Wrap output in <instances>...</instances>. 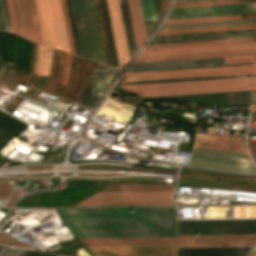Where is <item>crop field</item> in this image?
<instances>
[{"instance_id":"obj_24","label":"crop field","mask_w":256,"mask_h":256,"mask_svg":"<svg viewBox=\"0 0 256 256\" xmlns=\"http://www.w3.org/2000/svg\"><path fill=\"white\" fill-rule=\"evenodd\" d=\"M254 28V24L160 30L158 35Z\"/></svg>"},{"instance_id":"obj_56","label":"crop field","mask_w":256,"mask_h":256,"mask_svg":"<svg viewBox=\"0 0 256 256\" xmlns=\"http://www.w3.org/2000/svg\"><path fill=\"white\" fill-rule=\"evenodd\" d=\"M254 55H256V50H255V53H254Z\"/></svg>"},{"instance_id":"obj_37","label":"crop field","mask_w":256,"mask_h":256,"mask_svg":"<svg viewBox=\"0 0 256 256\" xmlns=\"http://www.w3.org/2000/svg\"><path fill=\"white\" fill-rule=\"evenodd\" d=\"M244 76H251V74L230 75V76H215V77H201V78H187V79H172V80H158V81H143V82H129V83H121V85L156 83V82H171V81H186V80H200V79H215V78H230V77H244Z\"/></svg>"},{"instance_id":"obj_47","label":"crop field","mask_w":256,"mask_h":256,"mask_svg":"<svg viewBox=\"0 0 256 256\" xmlns=\"http://www.w3.org/2000/svg\"><path fill=\"white\" fill-rule=\"evenodd\" d=\"M253 89H256V77H253Z\"/></svg>"},{"instance_id":"obj_59","label":"crop field","mask_w":256,"mask_h":256,"mask_svg":"<svg viewBox=\"0 0 256 256\" xmlns=\"http://www.w3.org/2000/svg\"><path fill=\"white\" fill-rule=\"evenodd\" d=\"M255 42H256V37H255Z\"/></svg>"},{"instance_id":"obj_26","label":"crop field","mask_w":256,"mask_h":256,"mask_svg":"<svg viewBox=\"0 0 256 256\" xmlns=\"http://www.w3.org/2000/svg\"><path fill=\"white\" fill-rule=\"evenodd\" d=\"M26 6L28 11L32 39L34 42L43 44L34 0H26Z\"/></svg>"},{"instance_id":"obj_50","label":"crop field","mask_w":256,"mask_h":256,"mask_svg":"<svg viewBox=\"0 0 256 256\" xmlns=\"http://www.w3.org/2000/svg\"><path fill=\"white\" fill-rule=\"evenodd\" d=\"M252 111H256V106H252Z\"/></svg>"},{"instance_id":"obj_45","label":"crop field","mask_w":256,"mask_h":256,"mask_svg":"<svg viewBox=\"0 0 256 256\" xmlns=\"http://www.w3.org/2000/svg\"><path fill=\"white\" fill-rule=\"evenodd\" d=\"M3 3H4V8H5V14H6V19H7V24H8V30H9V32H11L5 0H3Z\"/></svg>"},{"instance_id":"obj_28","label":"crop field","mask_w":256,"mask_h":256,"mask_svg":"<svg viewBox=\"0 0 256 256\" xmlns=\"http://www.w3.org/2000/svg\"><path fill=\"white\" fill-rule=\"evenodd\" d=\"M253 42V38L146 46L145 49Z\"/></svg>"},{"instance_id":"obj_41","label":"crop field","mask_w":256,"mask_h":256,"mask_svg":"<svg viewBox=\"0 0 256 256\" xmlns=\"http://www.w3.org/2000/svg\"><path fill=\"white\" fill-rule=\"evenodd\" d=\"M153 2H154L156 17H157V23L159 24V22H160V20L163 16L161 1L160 0H153Z\"/></svg>"},{"instance_id":"obj_14","label":"crop field","mask_w":256,"mask_h":256,"mask_svg":"<svg viewBox=\"0 0 256 256\" xmlns=\"http://www.w3.org/2000/svg\"><path fill=\"white\" fill-rule=\"evenodd\" d=\"M118 64L129 59L118 0H107Z\"/></svg>"},{"instance_id":"obj_8","label":"crop field","mask_w":256,"mask_h":256,"mask_svg":"<svg viewBox=\"0 0 256 256\" xmlns=\"http://www.w3.org/2000/svg\"><path fill=\"white\" fill-rule=\"evenodd\" d=\"M255 3L170 9L166 19L254 13Z\"/></svg>"},{"instance_id":"obj_58","label":"crop field","mask_w":256,"mask_h":256,"mask_svg":"<svg viewBox=\"0 0 256 256\" xmlns=\"http://www.w3.org/2000/svg\"><path fill=\"white\" fill-rule=\"evenodd\" d=\"M255 49H256V43H255Z\"/></svg>"},{"instance_id":"obj_5","label":"crop field","mask_w":256,"mask_h":256,"mask_svg":"<svg viewBox=\"0 0 256 256\" xmlns=\"http://www.w3.org/2000/svg\"><path fill=\"white\" fill-rule=\"evenodd\" d=\"M245 64H252V63H245ZM245 64L134 70V71H126L125 73L174 70V69H188V68H203V67H217V66H231V65H245ZM251 69H252V65H245V66H231V67H217V68H203V69H189V70L132 73V74H125L126 79H124L123 82L172 79V78H186V77H201V76H215V75H230V74H244V73H251Z\"/></svg>"},{"instance_id":"obj_48","label":"crop field","mask_w":256,"mask_h":256,"mask_svg":"<svg viewBox=\"0 0 256 256\" xmlns=\"http://www.w3.org/2000/svg\"><path fill=\"white\" fill-rule=\"evenodd\" d=\"M181 1H197V0H174V2H181Z\"/></svg>"},{"instance_id":"obj_31","label":"crop field","mask_w":256,"mask_h":256,"mask_svg":"<svg viewBox=\"0 0 256 256\" xmlns=\"http://www.w3.org/2000/svg\"><path fill=\"white\" fill-rule=\"evenodd\" d=\"M6 3L12 32L23 37L16 0H6Z\"/></svg>"},{"instance_id":"obj_46","label":"crop field","mask_w":256,"mask_h":256,"mask_svg":"<svg viewBox=\"0 0 256 256\" xmlns=\"http://www.w3.org/2000/svg\"><path fill=\"white\" fill-rule=\"evenodd\" d=\"M252 103H256V90H253L252 93Z\"/></svg>"},{"instance_id":"obj_3","label":"crop field","mask_w":256,"mask_h":256,"mask_svg":"<svg viewBox=\"0 0 256 256\" xmlns=\"http://www.w3.org/2000/svg\"><path fill=\"white\" fill-rule=\"evenodd\" d=\"M167 186L116 185L105 188L78 205L173 204Z\"/></svg>"},{"instance_id":"obj_10","label":"crop field","mask_w":256,"mask_h":256,"mask_svg":"<svg viewBox=\"0 0 256 256\" xmlns=\"http://www.w3.org/2000/svg\"><path fill=\"white\" fill-rule=\"evenodd\" d=\"M95 256H176V246L88 247Z\"/></svg>"},{"instance_id":"obj_9","label":"crop field","mask_w":256,"mask_h":256,"mask_svg":"<svg viewBox=\"0 0 256 256\" xmlns=\"http://www.w3.org/2000/svg\"><path fill=\"white\" fill-rule=\"evenodd\" d=\"M154 98L177 99V100L202 103V104H208V105H233V106H249L250 105V91L166 96V97H154Z\"/></svg>"},{"instance_id":"obj_57","label":"crop field","mask_w":256,"mask_h":256,"mask_svg":"<svg viewBox=\"0 0 256 256\" xmlns=\"http://www.w3.org/2000/svg\"><path fill=\"white\" fill-rule=\"evenodd\" d=\"M253 76H256V74H253Z\"/></svg>"},{"instance_id":"obj_17","label":"crop field","mask_w":256,"mask_h":256,"mask_svg":"<svg viewBox=\"0 0 256 256\" xmlns=\"http://www.w3.org/2000/svg\"><path fill=\"white\" fill-rule=\"evenodd\" d=\"M253 43L143 50L140 56L252 49Z\"/></svg>"},{"instance_id":"obj_52","label":"crop field","mask_w":256,"mask_h":256,"mask_svg":"<svg viewBox=\"0 0 256 256\" xmlns=\"http://www.w3.org/2000/svg\"><path fill=\"white\" fill-rule=\"evenodd\" d=\"M251 256H256V252H252Z\"/></svg>"},{"instance_id":"obj_27","label":"crop field","mask_w":256,"mask_h":256,"mask_svg":"<svg viewBox=\"0 0 256 256\" xmlns=\"http://www.w3.org/2000/svg\"><path fill=\"white\" fill-rule=\"evenodd\" d=\"M144 21L156 20L152 0H140ZM147 38L150 37L157 27L156 21L145 22Z\"/></svg>"},{"instance_id":"obj_7","label":"crop field","mask_w":256,"mask_h":256,"mask_svg":"<svg viewBox=\"0 0 256 256\" xmlns=\"http://www.w3.org/2000/svg\"><path fill=\"white\" fill-rule=\"evenodd\" d=\"M119 69L98 64L75 103L93 109Z\"/></svg>"},{"instance_id":"obj_40","label":"crop field","mask_w":256,"mask_h":256,"mask_svg":"<svg viewBox=\"0 0 256 256\" xmlns=\"http://www.w3.org/2000/svg\"><path fill=\"white\" fill-rule=\"evenodd\" d=\"M25 250L8 247L1 256H20Z\"/></svg>"},{"instance_id":"obj_2","label":"crop field","mask_w":256,"mask_h":256,"mask_svg":"<svg viewBox=\"0 0 256 256\" xmlns=\"http://www.w3.org/2000/svg\"><path fill=\"white\" fill-rule=\"evenodd\" d=\"M251 77L123 86L142 96L250 90Z\"/></svg>"},{"instance_id":"obj_36","label":"crop field","mask_w":256,"mask_h":256,"mask_svg":"<svg viewBox=\"0 0 256 256\" xmlns=\"http://www.w3.org/2000/svg\"><path fill=\"white\" fill-rule=\"evenodd\" d=\"M17 4H18V9H19L20 19L22 24L23 35L25 38L32 41L28 17H27V11L25 6V0H17Z\"/></svg>"},{"instance_id":"obj_22","label":"crop field","mask_w":256,"mask_h":256,"mask_svg":"<svg viewBox=\"0 0 256 256\" xmlns=\"http://www.w3.org/2000/svg\"><path fill=\"white\" fill-rule=\"evenodd\" d=\"M194 141L245 149L240 136L196 133Z\"/></svg>"},{"instance_id":"obj_11","label":"crop field","mask_w":256,"mask_h":256,"mask_svg":"<svg viewBox=\"0 0 256 256\" xmlns=\"http://www.w3.org/2000/svg\"><path fill=\"white\" fill-rule=\"evenodd\" d=\"M254 29L154 36L148 44L253 37Z\"/></svg>"},{"instance_id":"obj_32","label":"crop field","mask_w":256,"mask_h":256,"mask_svg":"<svg viewBox=\"0 0 256 256\" xmlns=\"http://www.w3.org/2000/svg\"><path fill=\"white\" fill-rule=\"evenodd\" d=\"M52 48L39 45V69L38 72L49 74L51 65Z\"/></svg>"},{"instance_id":"obj_39","label":"crop field","mask_w":256,"mask_h":256,"mask_svg":"<svg viewBox=\"0 0 256 256\" xmlns=\"http://www.w3.org/2000/svg\"><path fill=\"white\" fill-rule=\"evenodd\" d=\"M69 71H70V55L66 54L65 57V65H64V77L61 81V83L65 84L69 77Z\"/></svg>"},{"instance_id":"obj_60","label":"crop field","mask_w":256,"mask_h":256,"mask_svg":"<svg viewBox=\"0 0 256 256\" xmlns=\"http://www.w3.org/2000/svg\"><path fill=\"white\" fill-rule=\"evenodd\" d=\"M58 256H62V255H58Z\"/></svg>"},{"instance_id":"obj_4","label":"crop field","mask_w":256,"mask_h":256,"mask_svg":"<svg viewBox=\"0 0 256 256\" xmlns=\"http://www.w3.org/2000/svg\"><path fill=\"white\" fill-rule=\"evenodd\" d=\"M45 45L69 51L60 0H35Z\"/></svg>"},{"instance_id":"obj_42","label":"crop field","mask_w":256,"mask_h":256,"mask_svg":"<svg viewBox=\"0 0 256 256\" xmlns=\"http://www.w3.org/2000/svg\"><path fill=\"white\" fill-rule=\"evenodd\" d=\"M21 256H57V255L26 250Z\"/></svg>"},{"instance_id":"obj_29","label":"crop field","mask_w":256,"mask_h":256,"mask_svg":"<svg viewBox=\"0 0 256 256\" xmlns=\"http://www.w3.org/2000/svg\"><path fill=\"white\" fill-rule=\"evenodd\" d=\"M247 18H254V14L217 16V17H202V18H187V19H172V20H164L163 24L200 22V21H216V20H231V19H247Z\"/></svg>"},{"instance_id":"obj_34","label":"crop field","mask_w":256,"mask_h":256,"mask_svg":"<svg viewBox=\"0 0 256 256\" xmlns=\"http://www.w3.org/2000/svg\"><path fill=\"white\" fill-rule=\"evenodd\" d=\"M61 3H62V8H63V14H64V19H65V24H66L68 40H69L70 51L72 54L77 55L73 32H72L71 21H70V16H69V10H68V5H67V0H61Z\"/></svg>"},{"instance_id":"obj_30","label":"crop field","mask_w":256,"mask_h":256,"mask_svg":"<svg viewBox=\"0 0 256 256\" xmlns=\"http://www.w3.org/2000/svg\"><path fill=\"white\" fill-rule=\"evenodd\" d=\"M247 23H254V19L222 21V22H206V23L170 24V25H161L160 29L183 28V27H199V26H215V25H231V24H247Z\"/></svg>"},{"instance_id":"obj_16","label":"crop field","mask_w":256,"mask_h":256,"mask_svg":"<svg viewBox=\"0 0 256 256\" xmlns=\"http://www.w3.org/2000/svg\"><path fill=\"white\" fill-rule=\"evenodd\" d=\"M86 246L176 245V238L81 239Z\"/></svg>"},{"instance_id":"obj_15","label":"crop field","mask_w":256,"mask_h":256,"mask_svg":"<svg viewBox=\"0 0 256 256\" xmlns=\"http://www.w3.org/2000/svg\"><path fill=\"white\" fill-rule=\"evenodd\" d=\"M226 63L252 62V56L224 58ZM223 58L216 59H200V60H185V61H170V62H154V63H139L131 64L128 70L218 64L225 63Z\"/></svg>"},{"instance_id":"obj_51","label":"crop field","mask_w":256,"mask_h":256,"mask_svg":"<svg viewBox=\"0 0 256 256\" xmlns=\"http://www.w3.org/2000/svg\"><path fill=\"white\" fill-rule=\"evenodd\" d=\"M7 247H4L1 251H0V255H1V253L6 249Z\"/></svg>"},{"instance_id":"obj_23","label":"crop field","mask_w":256,"mask_h":256,"mask_svg":"<svg viewBox=\"0 0 256 256\" xmlns=\"http://www.w3.org/2000/svg\"><path fill=\"white\" fill-rule=\"evenodd\" d=\"M99 3H100V8H101L105 33H106V39H107L111 64H112V66L117 67L118 64H117V59H116V53H115V48H114V43H113V37H112V32H111V27H110V21H109V16H108V11H107L106 0H99Z\"/></svg>"},{"instance_id":"obj_44","label":"crop field","mask_w":256,"mask_h":256,"mask_svg":"<svg viewBox=\"0 0 256 256\" xmlns=\"http://www.w3.org/2000/svg\"><path fill=\"white\" fill-rule=\"evenodd\" d=\"M0 3H1V8H2V14H3V19H4V24H5V30H6V32H8L2 0H0Z\"/></svg>"},{"instance_id":"obj_6","label":"crop field","mask_w":256,"mask_h":256,"mask_svg":"<svg viewBox=\"0 0 256 256\" xmlns=\"http://www.w3.org/2000/svg\"><path fill=\"white\" fill-rule=\"evenodd\" d=\"M241 173H256L249 155L193 147L189 164Z\"/></svg>"},{"instance_id":"obj_33","label":"crop field","mask_w":256,"mask_h":256,"mask_svg":"<svg viewBox=\"0 0 256 256\" xmlns=\"http://www.w3.org/2000/svg\"><path fill=\"white\" fill-rule=\"evenodd\" d=\"M248 2H255V0H220V1H205V2L173 3L171 8L220 5V4H234V3H248Z\"/></svg>"},{"instance_id":"obj_43","label":"crop field","mask_w":256,"mask_h":256,"mask_svg":"<svg viewBox=\"0 0 256 256\" xmlns=\"http://www.w3.org/2000/svg\"><path fill=\"white\" fill-rule=\"evenodd\" d=\"M0 32H5L3 19H2V14H1V8H0Z\"/></svg>"},{"instance_id":"obj_21","label":"crop field","mask_w":256,"mask_h":256,"mask_svg":"<svg viewBox=\"0 0 256 256\" xmlns=\"http://www.w3.org/2000/svg\"><path fill=\"white\" fill-rule=\"evenodd\" d=\"M255 240H256V234L178 236V242L255 241Z\"/></svg>"},{"instance_id":"obj_19","label":"crop field","mask_w":256,"mask_h":256,"mask_svg":"<svg viewBox=\"0 0 256 256\" xmlns=\"http://www.w3.org/2000/svg\"><path fill=\"white\" fill-rule=\"evenodd\" d=\"M250 247L178 248V256H245Z\"/></svg>"},{"instance_id":"obj_12","label":"crop field","mask_w":256,"mask_h":256,"mask_svg":"<svg viewBox=\"0 0 256 256\" xmlns=\"http://www.w3.org/2000/svg\"><path fill=\"white\" fill-rule=\"evenodd\" d=\"M73 24L81 57L92 59V53L81 0H69Z\"/></svg>"},{"instance_id":"obj_1","label":"crop field","mask_w":256,"mask_h":256,"mask_svg":"<svg viewBox=\"0 0 256 256\" xmlns=\"http://www.w3.org/2000/svg\"><path fill=\"white\" fill-rule=\"evenodd\" d=\"M60 212L79 238L176 237L172 208L60 209Z\"/></svg>"},{"instance_id":"obj_13","label":"crop field","mask_w":256,"mask_h":256,"mask_svg":"<svg viewBox=\"0 0 256 256\" xmlns=\"http://www.w3.org/2000/svg\"><path fill=\"white\" fill-rule=\"evenodd\" d=\"M95 61L106 64L94 0H82Z\"/></svg>"},{"instance_id":"obj_18","label":"crop field","mask_w":256,"mask_h":256,"mask_svg":"<svg viewBox=\"0 0 256 256\" xmlns=\"http://www.w3.org/2000/svg\"><path fill=\"white\" fill-rule=\"evenodd\" d=\"M252 55V50L138 57L133 63Z\"/></svg>"},{"instance_id":"obj_49","label":"crop field","mask_w":256,"mask_h":256,"mask_svg":"<svg viewBox=\"0 0 256 256\" xmlns=\"http://www.w3.org/2000/svg\"><path fill=\"white\" fill-rule=\"evenodd\" d=\"M253 73H256V63H254Z\"/></svg>"},{"instance_id":"obj_38","label":"crop field","mask_w":256,"mask_h":256,"mask_svg":"<svg viewBox=\"0 0 256 256\" xmlns=\"http://www.w3.org/2000/svg\"><path fill=\"white\" fill-rule=\"evenodd\" d=\"M193 146L248 154L246 150L234 149V148H228V147H222V146H216V145L194 143Z\"/></svg>"},{"instance_id":"obj_55","label":"crop field","mask_w":256,"mask_h":256,"mask_svg":"<svg viewBox=\"0 0 256 256\" xmlns=\"http://www.w3.org/2000/svg\"><path fill=\"white\" fill-rule=\"evenodd\" d=\"M3 247L0 246V250L2 249Z\"/></svg>"},{"instance_id":"obj_20","label":"crop field","mask_w":256,"mask_h":256,"mask_svg":"<svg viewBox=\"0 0 256 256\" xmlns=\"http://www.w3.org/2000/svg\"><path fill=\"white\" fill-rule=\"evenodd\" d=\"M127 1H128L129 11H130L136 49L138 50L147 41L143 19H142L140 2L139 0H127Z\"/></svg>"},{"instance_id":"obj_53","label":"crop field","mask_w":256,"mask_h":256,"mask_svg":"<svg viewBox=\"0 0 256 256\" xmlns=\"http://www.w3.org/2000/svg\"><path fill=\"white\" fill-rule=\"evenodd\" d=\"M166 1V6H168V2H169V0H165Z\"/></svg>"},{"instance_id":"obj_61","label":"crop field","mask_w":256,"mask_h":256,"mask_svg":"<svg viewBox=\"0 0 256 256\" xmlns=\"http://www.w3.org/2000/svg\"><path fill=\"white\" fill-rule=\"evenodd\" d=\"M253 105H256V104H253Z\"/></svg>"},{"instance_id":"obj_54","label":"crop field","mask_w":256,"mask_h":256,"mask_svg":"<svg viewBox=\"0 0 256 256\" xmlns=\"http://www.w3.org/2000/svg\"><path fill=\"white\" fill-rule=\"evenodd\" d=\"M254 62H256V56H254Z\"/></svg>"},{"instance_id":"obj_25","label":"crop field","mask_w":256,"mask_h":256,"mask_svg":"<svg viewBox=\"0 0 256 256\" xmlns=\"http://www.w3.org/2000/svg\"><path fill=\"white\" fill-rule=\"evenodd\" d=\"M119 4H120L122 19H123V25H124V30H125V35H126V40L128 45L129 56L131 57L136 52V49H135L131 22H130V17L128 12L127 1L119 0Z\"/></svg>"},{"instance_id":"obj_35","label":"crop field","mask_w":256,"mask_h":256,"mask_svg":"<svg viewBox=\"0 0 256 256\" xmlns=\"http://www.w3.org/2000/svg\"><path fill=\"white\" fill-rule=\"evenodd\" d=\"M254 242L178 243V247L252 246ZM198 244H201L200 246Z\"/></svg>"}]
</instances>
